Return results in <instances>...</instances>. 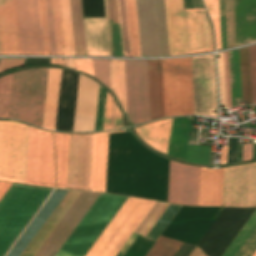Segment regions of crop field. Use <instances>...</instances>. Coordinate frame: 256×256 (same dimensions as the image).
Wrapping results in <instances>:
<instances>
[{"mask_svg":"<svg viewBox=\"0 0 256 256\" xmlns=\"http://www.w3.org/2000/svg\"><path fill=\"white\" fill-rule=\"evenodd\" d=\"M197 2H198V6H199V7H203L200 0H197Z\"/></svg>","mask_w":256,"mask_h":256,"instance_id":"crop-field-64","label":"crop field"},{"mask_svg":"<svg viewBox=\"0 0 256 256\" xmlns=\"http://www.w3.org/2000/svg\"><path fill=\"white\" fill-rule=\"evenodd\" d=\"M106 89L100 85L95 131L102 130Z\"/></svg>","mask_w":256,"mask_h":256,"instance_id":"crop-field-44","label":"crop field"},{"mask_svg":"<svg viewBox=\"0 0 256 256\" xmlns=\"http://www.w3.org/2000/svg\"><path fill=\"white\" fill-rule=\"evenodd\" d=\"M253 145H244L242 161L252 160Z\"/></svg>","mask_w":256,"mask_h":256,"instance_id":"crop-field-54","label":"crop field"},{"mask_svg":"<svg viewBox=\"0 0 256 256\" xmlns=\"http://www.w3.org/2000/svg\"><path fill=\"white\" fill-rule=\"evenodd\" d=\"M210 19L213 23L216 37L217 50L221 49L220 24H219V6L218 0H203Z\"/></svg>","mask_w":256,"mask_h":256,"instance_id":"crop-field-38","label":"crop field"},{"mask_svg":"<svg viewBox=\"0 0 256 256\" xmlns=\"http://www.w3.org/2000/svg\"><path fill=\"white\" fill-rule=\"evenodd\" d=\"M238 139L230 138L227 163L236 162Z\"/></svg>","mask_w":256,"mask_h":256,"instance_id":"crop-field-52","label":"crop field"},{"mask_svg":"<svg viewBox=\"0 0 256 256\" xmlns=\"http://www.w3.org/2000/svg\"><path fill=\"white\" fill-rule=\"evenodd\" d=\"M256 251V228L235 256H252Z\"/></svg>","mask_w":256,"mask_h":256,"instance_id":"crop-field-45","label":"crop field"},{"mask_svg":"<svg viewBox=\"0 0 256 256\" xmlns=\"http://www.w3.org/2000/svg\"><path fill=\"white\" fill-rule=\"evenodd\" d=\"M69 140L28 126L25 184L66 188Z\"/></svg>","mask_w":256,"mask_h":256,"instance_id":"crop-field-3","label":"crop field"},{"mask_svg":"<svg viewBox=\"0 0 256 256\" xmlns=\"http://www.w3.org/2000/svg\"><path fill=\"white\" fill-rule=\"evenodd\" d=\"M114 110H115V102L113 105V115H112V125H111V129H113V123H114Z\"/></svg>","mask_w":256,"mask_h":256,"instance_id":"crop-field-61","label":"crop field"},{"mask_svg":"<svg viewBox=\"0 0 256 256\" xmlns=\"http://www.w3.org/2000/svg\"><path fill=\"white\" fill-rule=\"evenodd\" d=\"M223 206L256 207V163L226 167Z\"/></svg>","mask_w":256,"mask_h":256,"instance_id":"crop-field-14","label":"crop field"},{"mask_svg":"<svg viewBox=\"0 0 256 256\" xmlns=\"http://www.w3.org/2000/svg\"><path fill=\"white\" fill-rule=\"evenodd\" d=\"M226 158H227V148L222 147L221 156H220V164L226 163Z\"/></svg>","mask_w":256,"mask_h":256,"instance_id":"crop-field-59","label":"crop field"},{"mask_svg":"<svg viewBox=\"0 0 256 256\" xmlns=\"http://www.w3.org/2000/svg\"><path fill=\"white\" fill-rule=\"evenodd\" d=\"M151 120L164 117L161 60H148Z\"/></svg>","mask_w":256,"mask_h":256,"instance_id":"crop-field-27","label":"crop field"},{"mask_svg":"<svg viewBox=\"0 0 256 256\" xmlns=\"http://www.w3.org/2000/svg\"><path fill=\"white\" fill-rule=\"evenodd\" d=\"M210 148L188 145L185 161L208 164Z\"/></svg>","mask_w":256,"mask_h":256,"instance_id":"crop-field-40","label":"crop field"},{"mask_svg":"<svg viewBox=\"0 0 256 256\" xmlns=\"http://www.w3.org/2000/svg\"><path fill=\"white\" fill-rule=\"evenodd\" d=\"M165 117L194 115L191 57L162 60Z\"/></svg>","mask_w":256,"mask_h":256,"instance_id":"crop-field-9","label":"crop field"},{"mask_svg":"<svg viewBox=\"0 0 256 256\" xmlns=\"http://www.w3.org/2000/svg\"><path fill=\"white\" fill-rule=\"evenodd\" d=\"M121 119H122V115L120 114V112H119V110H118V108L116 106L114 128H120Z\"/></svg>","mask_w":256,"mask_h":256,"instance_id":"crop-field-58","label":"crop field"},{"mask_svg":"<svg viewBox=\"0 0 256 256\" xmlns=\"http://www.w3.org/2000/svg\"><path fill=\"white\" fill-rule=\"evenodd\" d=\"M93 68L94 77L111 88L109 60H93Z\"/></svg>","mask_w":256,"mask_h":256,"instance_id":"crop-field-42","label":"crop field"},{"mask_svg":"<svg viewBox=\"0 0 256 256\" xmlns=\"http://www.w3.org/2000/svg\"><path fill=\"white\" fill-rule=\"evenodd\" d=\"M67 190L55 189L42 208L39 210L37 215L25 229L23 234L11 248L6 256H21L34 237L38 234L65 196L68 194ZM81 192L70 191L39 234L35 237L26 251L22 256H34L69 208L72 206L74 201L80 195Z\"/></svg>","mask_w":256,"mask_h":256,"instance_id":"crop-field-6","label":"crop field"},{"mask_svg":"<svg viewBox=\"0 0 256 256\" xmlns=\"http://www.w3.org/2000/svg\"><path fill=\"white\" fill-rule=\"evenodd\" d=\"M253 256H256V252L254 253V255Z\"/></svg>","mask_w":256,"mask_h":256,"instance_id":"crop-field-65","label":"crop field"},{"mask_svg":"<svg viewBox=\"0 0 256 256\" xmlns=\"http://www.w3.org/2000/svg\"><path fill=\"white\" fill-rule=\"evenodd\" d=\"M76 56H87L81 0H71Z\"/></svg>","mask_w":256,"mask_h":256,"instance_id":"crop-field-31","label":"crop field"},{"mask_svg":"<svg viewBox=\"0 0 256 256\" xmlns=\"http://www.w3.org/2000/svg\"><path fill=\"white\" fill-rule=\"evenodd\" d=\"M57 55H64L58 0H52Z\"/></svg>","mask_w":256,"mask_h":256,"instance_id":"crop-field-41","label":"crop field"},{"mask_svg":"<svg viewBox=\"0 0 256 256\" xmlns=\"http://www.w3.org/2000/svg\"><path fill=\"white\" fill-rule=\"evenodd\" d=\"M11 183L1 182L0 181V200L5 195V193L8 191V189L11 187Z\"/></svg>","mask_w":256,"mask_h":256,"instance_id":"crop-field-57","label":"crop field"},{"mask_svg":"<svg viewBox=\"0 0 256 256\" xmlns=\"http://www.w3.org/2000/svg\"><path fill=\"white\" fill-rule=\"evenodd\" d=\"M0 54L50 55L45 0H0Z\"/></svg>","mask_w":256,"mask_h":256,"instance_id":"crop-field-2","label":"crop field"},{"mask_svg":"<svg viewBox=\"0 0 256 256\" xmlns=\"http://www.w3.org/2000/svg\"><path fill=\"white\" fill-rule=\"evenodd\" d=\"M255 210L224 208L196 248L208 256H222ZM196 248L190 256H206Z\"/></svg>","mask_w":256,"mask_h":256,"instance_id":"crop-field-12","label":"crop field"},{"mask_svg":"<svg viewBox=\"0 0 256 256\" xmlns=\"http://www.w3.org/2000/svg\"><path fill=\"white\" fill-rule=\"evenodd\" d=\"M237 46L256 42V0H234Z\"/></svg>","mask_w":256,"mask_h":256,"instance_id":"crop-field-24","label":"crop field"},{"mask_svg":"<svg viewBox=\"0 0 256 256\" xmlns=\"http://www.w3.org/2000/svg\"><path fill=\"white\" fill-rule=\"evenodd\" d=\"M255 227L256 212L253 214V216L250 218V220L247 222V224L244 226V228L241 230V232L238 234V236L235 238V240L223 254V256H234Z\"/></svg>","mask_w":256,"mask_h":256,"instance_id":"crop-field-36","label":"crop field"},{"mask_svg":"<svg viewBox=\"0 0 256 256\" xmlns=\"http://www.w3.org/2000/svg\"><path fill=\"white\" fill-rule=\"evenodd\" d=\"M84 18H105L103 0H82ZM89 56L109 55L105 19H84Z\"/></svg>","mask_w":256,"mask_h":256,"instance_id":"crop-field-19","label":"crop field"},{"mask_svg":"<svg viewBox=\"0 0 256 256\" xmlns=\"http://www.w3.org/2000/svg\"><path fill=\"white\" fill-rule=\"evenodd\" d=\"M223 208L182 206L162 236L197 245ZM160 236L146 256H174L182 242Z\"/></svg>","mask_w":256,"mask_h":256,"instance_id":"crop-field-5","label":"crop field"},{"mask_svg":"<svg viewBox=\"0 0 256 256\" xmlns=\"http://www.w3.org/2000/svg\"><path fill=\"white\" fill-rule=\"evenodd\" d=\"M51 190L13 184L0 202V256L5 254Z\"/></svg>","mask_w":256,"mask_h":256,"instance_id":"crop-field-4","label":"crop field"},{"mask_svg":"<svg viewBox=\"0 0 256 256\" xmlns=\"http://www.w3.org/2000/svg\"><path fill=\"white\" fill-rule=\"evenodd\" d=\"M219 4H220L222 49H224L226 48V37H225L223 0H219ZM224 4H225L226 36H227V48H228V46H231V47L236 46L233 0H224Z\"/></svg>","mask_w":256,"mask_h":256,"instance_id":"crop-field-30","label":"crop field"},{"mask_svg":"<svg viewBox=\"0 0 256 256\" xmlns=\"http://www.w3.org/2000/svg\"><path fill=\"white\" fill-rule=\"evenodd\" d=\"M228 108L232 107L228 52L224 53Z\"/></svg>","mask_w":256,"mask_h":256,"instance_id":"crop-field-50","label":"crop field"},{"mask_svg":"<svg viewBox=\"0 0 256 256\" xmlns=\"http://www.w3.org/2000/svg\"><path fill=\"white\" fill-rule=\"evenodd\" d=\"M192 117L173 119L167 155L184 161Z\"/></svg>","mask_w":256,"mask_h":256,"instance_id":"crop-field-28","label":"crop field"},{"mask_svg":"<svg viewBox=\"0 0 256 256\" xmlns=\"http://www.w3.org/2000/svg\"><path fill=\"white\" fill-rule=\"evenodd\" d=\"M1 61V60H0Z\"/></svg>","mask_w":256,"mask_h":256,"instance_id":"crop-field-66","label":"crop field"},{"mask_svg":"<svg viewBox=\"0 0 256 256\" xmlns=\"http://www.w3.org/2000/svg\"><path fill=\"white\" fill-rule=\"evenodd\" d=\"M200 167L170 161L168 202L197 206Z\"/></svg>","mask_w":256,"mask_h":256,"instance_id":"crop-field-18","label":"crop field"},{"mask_svg":"<svg viewBox=\"0 0 256 256\" xmlns=\"http://www.w3.org/2000/svg\"><path fill=\"white\" fill-rule=\"evenodd\" d=\"M112 104H113V99L107 92L103 130H109L110 129Z\"/></svg>","mask_w":256,"mask_h":256,"instance_id":"crop-field-48","label":"crop field"},{"mask_svg":"<svg viewBox=\"0 0 256 256\" xmlns=\"http://www.w3.org/2000/svg\"><path fill=\"white\" fill-rule=\"evenodd\" d=\"M27 126L0 120V180L24 184Z\"/></svg>","mask_w":256,"mask_h":256,"instance_id":"crop-field-11","label":"crop field"},{"mask_svg":"<svg viewBox=\"0 0 256 256\" xmlns=\"http://www.w3.org/2000/svg\"><path fill=\"white\" fill-rule=\"evenodd\" d=\"M172 119L149 123L135 130L140 138L153 148L166 154Z\"/></svg>","mask_w":256,"mask_h":256,"instance_id":"crop-field-26","label":"crop field"},{"mask_svg":"<svg viewBox=\"0 0 256 256\" xmlns=\"http://www.w3.org/2000/svg\"><path fill=\"white\" fill-rule=\"evenodd\" d=\"M112 91L118 97L126 115V91L124 60H110Z\"/></svg>","mask_w":256,"mask_h":256,"instance_id":"crop-field-32","label":"crop field"},{"mask_svg":"<svg viewBox=\"0 0 256 256\" xmlns=\"http://www.w3.org/2000/svg\"><path fill=\"white\" fill-rule=\"evenodd\" d=\"M56 64L63 65L62 59H55Z\"/></svg>","mask_w":256,"mask_h":256,"instance_id":"crop-field-62","label":"crop field"},{"mask_svg":"<svg viewBox=\"0 0 256 256\" xmlns=\"http://www.w3.org/2000/svg\"><path fill=\"white\" fill-rule=\"evenodd\" d=\"M109 133H94L90 191L105 192ZM168 170L132 134H110L106 192L167 202Z\"/></svg>","mask_w":256,"mask_h":256,"instance_id":"crop-field-1","label":"crop field"},{"mask_svg":"<svg viewBox=\"0 0 256 256\" xmlns=\"http://www.w3.org/2000/svg\"><path fill=\"white\" fill-rule=\"evenodd\" d=\"M46 8H47V18H48V29H49L51 55H56L54 30H53V20H52V10H51V0H46Z\"/></svg>","mask_w":256,"mask_h":256,"instance_id":"crop-field-47","label":"crop field"},{"mask_svg":"<svg viewBox=\"0 0 256 256\" xmlns=\"http://www.w3.org/2000/svg\"><path fill=\"white\" fill-rule=\"evenodd\" d=\"M230 58V72H231V86H232V100H233V107L235 106V93H234V81H233V69H232V57L231 51L229 52ZM239 99H236V106H238Z\"/></svg>","mask_w":256,"mask_h":256,"instance_id":"crop-field-55","label":"crop field"},{"mask_svg":"<svg viewBox=\"0 0 256 256\" xmlns=\"http://www.w3.org/2000/svg\"><path fill=\"white\" fill-rule=\"evenodd\" d=\"M12 75L0 79V117L7 118L12 85Z\"/></svg>","mask_w":256,"mask_h":256,"instance_id":"crop-field-37","label":"crop field"},{"mask_svg":"<svg viewBox=\"0 0 256 256\" xmlns=\"http://www.w3.org/2000/svg\"><path fill=\"white\" fill-rule=\"evenodd\" d=\"M164 205L165 204L163 203L155 202L140 225L137 227V230L145 232ZM180 208L181 206L179 205L166 204L146 232L160 236ZM154 235L142 232L125 256H145L158 239V236Z\"/></svg>","mask_w":256,"mask_h":256,"instance_id":"crop-field-16","label":"crop field"},{"mask_svg":"<svg viewBox=\"0 0 256 256\" xmlns=\"http://www.w3.org/2000/svg\"><path fill=\"white\" fill-rule=\"evenodd\" d=\"M28 64H50L49 59L27 58L24 65Z\"/></svg>","mask_w":256,"mask_h":256,"instance_id":"crop-field-56","label":"crop field"},{"mask_svg":"<svg viewBox=\"0 0 256 256\" xmlns=\"http://www.w3.org/2000/svg\"><path fill=\"white\" fill-rule=\"evenodd\" d=\"M191 2H192V5H193L194 8L198 7L197 3H196V0H191Z\"/></svg>","mask_w":256,"mask_h":256,"instance_id":"crop-field-63","label":"crop field"},{"mask_svg":"<svg viewBox=\"0 0 256 256\" xmlns=\"http://www.w3.org/2000/svg\"><path fill=\"white\" fill-rule=\"evenodd\" d=\"M64 65L74 69V59H63Z\"/></svg>","mask_w":256,"mask_h":256,"instance_id":"crop-field-60","label":"crop field"},{"mask_svg":"<svg viewBox=\"0 0 256 256\" xmlns=\"http://www.w3.org/2000/svg\"><path fill=\"white\" fill-rule=\"evenodd\" d=\"M153 204L128 198L86 256H115Z\"/></svg>","mask_w":256,"mask_h":256,"instance_id":"crop-field-10","label":"crop field"},{"mask_svg":"<svg viewBox=\"0 0 256 256\" xmlns=\"http://www.w3.org/2000/svg\"><path fill=\"white\" fill-rule=\"evenodd\" d=\"M61 70L49 69L42 128L54 130Z\"/></svg>","mask_w":256,"mask_h":256,"instance_id":"crop-field-29","label":"crop field"},{"mask_svg":"<svg viewBox=\"0 0 256 256\" xmlns=\"http://www.w3.org/2000/svg\"><path fill=\"white\" fill-rule=\"evenodd\" d=\"M99 84L81 75L73 131H94Z\"/></svg>","mask_w":256,"mask_h":256,"instance_id":"crop-field-20","label":"crop field"},{"mask_svg":"<svg viewBox=\"0 0 256 256\" xmlns=\"http://www.w3.org/2000/svg\"><path fill=\"white\" fill-rule=\"evenodd\" d=\"M195 115L218 117L214 55L192 57Z\"/></svg>","mask_w":256,"mask_h":256,"instance_id":"crop-field-15","label":"crop field"},{"mask_svg":"<svg viewBox=\"0 0 256 256\" xmlns=\"http://www.w3.org/2000/svg\"><path fill=\"white\" fill-rule=\"evenodd\" d=\"M59 2H60L65 55L75 56L70 0H59Z\"/></svg>","mask_w":256,"mask_h":256,"instance_id":"crop-field-33","label":"crop field"},{"mask_svg":"<svg viewBox=\"0 0 256 256\" xmlns=\"http://www.w3.org/2000/svg\"><path fill=\"white\" fill-rule=\"evenodd\" d=\"M128 118L150 120L147 60H125Z\"/></svg>","mask_w":256,"mask_h":256,"instance_id":"crop-field-13","label":"crop field"},{"mask_svg":"<svg viewBox=\"0 0 256 256\" xmlns=\"http://www.w3.org/2000/svg\"><path fill=\"white\" fill-rule=\"evenodd\" d=\"M119 9H120L124 56H131L127 10H126V0H119Z\"/></svg>","mask_w":256,"mask_h":256,"instance_id":"crop-field-39","label":"crop field"},{"mask_svg":"<svg viewBox=\"0 0 256 256\" xmlns=\"http://www.w3.org/2000/svg\"><path fill=\"white\" fill-rule=\"evenodd\" d=\"M189 54L213 50L211 26L203 8L185 10Z\"/></svg>","mask_w":256,"mask_h":256,"instance_id":"crop-field-21","label":"crop field"},{"mask_svg":"<svg viewBox=\"0 0 256 256\" xmlns=\"http://www.w3.org/2000/svg\"><path fill=\"white\" fill-rule=\"evenodd\" d=\"M126 200L101 194L55 256H85Z\"/></svg>","mask_w":256,"mask_h":256,"instance_id":"crop-field-7","label":"crop field"},{"mask_svg":"<svg viewBox=\"0 0 256 256\" xmlns=\"http://www.w3.org/2000/svg\"><path fill=\"white\" fill-rule=\"evenodd\" d=\"M219 56L220 58H218V66H219V80H220V100H221V105H227L223 53L219 54Z\"/></svg>","mask_w":256,"mask_h":256,"instance_id":"crop-field-46","label":"crop field"},{"mask_svg":"<svg viewBox=\"0 0 256 256\" xmlns=\"http://www.w3.org/2000/svg\"><path fill=\"white\" fill-rule=\"evenodd\" d=\"M104 4H105V13H106V22H107L109 51H110V55H113L112 41H111V31H110V20H109V10H108V0H104Z\"/></svg>","mask_w":256,"mask_h":256,"instance_id":"crop-field-53","label":"crop field"},{"mask_svg":"<svg viewBox=\"0 0 256 256\" xmlns=\"http://www.w3.org/2000/svg\"><path fill=\"white\" fill-rule=\"evenodd\" d=\"M25 59H7L2 60L0 64V72L5 71L7 69L15 68L21 66Z\"/></svg>","mask_w":256,"mask_h":256,"instance_id":"crop-field-51","label":"crop field"},{"mask_svg":"<svg viewBox=\"0 0 256 256\" xmlns=\"http://www.w3.org/2000/svg\"><path fill=\"white\" fill-rule=\"evenodd\" d=\"M75 69L93 76L92 60L75 59Z\"/></svg>","mask_w":256,"mask_h":256,"instance_id":"crop-field-49","label":"crop field"},{"mask_svg":"<svg viewBox=\"0 0 256 256\" xmlns=\"http://www.w3.org/2000/svg\"><path fill=\"white\" fill-rule=\"evenodd\" d=\"M93 134H71L67 188L89 191Z\"/></svg>","mask_w":256,"mask_h":256,"instance_id":"crop-field-17","label":"crop field"},{"mask_svg":"<svg viewBox=\"0 0 256 256\" xmlns=\"http://www.w3.org/2000/svg\"><path fill=\"white\" fill-rule=\"evenodd\" d=\"M232 56H233L236 98H242V93H243V101H246L247 105H252L248 48L240 49V52H239L242 93H241L238 50L232 51Z\"/></svg>","mask_w":256,"mask_h":256,"instance_id":"crop-field-25","label":"crop field"},{"mask_svg":"<svg viewBox=\"0 0 256 256\" xmlns=\"http://www.w3.org/2000/svg\"><path fill=\"white\" fill-rule=\"evenodd\" d=\"M127 10L132 56H141L135 0H127Z\"/></svg>","mask_w":256,"mask_h":256,"instance_id":"crop-field-34","label":"crop field"},{"mask_svg":"<svg viewBox=\"0 0 256 256\" xmlns=\"http://www.w3.org/2000/svg\"><path fill=\"white\" fill-rule=\"evenodd\" d=\"M225 168L201 167L198 206H222Z\"/></svg>","mask_w":256,"mask_h":256,"instance_id":"crop-field-23","label":"crop field"},{"mask_svg":"<svg viewBox=\"0 0 256 256\" xmlns=\"http://www.w3.org/2000/svg\"><path fill=\"white\" fill-rule=\"evenodd\" d=\"M48 69L14 73L8 118L42 124Z\"/></svg>","mask_w":256,"mask_h":256,"instance_id":"crop-field-8","label":"crop field"},{"mask_svg":"<svg viewBox=\"0 0 256 256\" xmlns=\"http://www.w3.org/2000/svg\"><path fill=\"white\" fill-rule=\"evenodd\" d=\"M253 105H256V45L249 48Z\"/></svg>","mask_w":256,"mask_h":256,"instance_id":"crop-field-43","label":"crop field"},{"mask_svg":"<svg viewBox=\"0 0 256 256\" xmlns=\"http://www.w3.org/2000/svg\"><path fill=\"white\" fill-rule=\"evenodd\" d=\"M114 56H123L118 0H109Z\"/></svg>","mask_w":256,"mask_h":256,"instance_id":"crop-field-35","label":"crop field"},{"mask_svg":"<svg viewBox=\"0 0 256 256\" xmlns=\"http://www.w3.org/2000/svg\"><path fill=\"white\" fill-rule=\"evenodd\" d=\"M170 55L188 54L183 0H165Z\"/></svg>","mask_w":256,"mask_h":256,"instance_id":"crop-field-22","label":"crop field"}]
</instances>
